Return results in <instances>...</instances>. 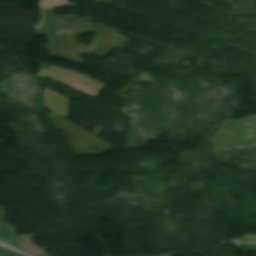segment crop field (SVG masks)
I'll list each match as a JSON object with an SVG mask.
<instances>
[{
  "label": "crop field",
  "mask_w": 256,
  "mask_h": 256,
  "mask_svg": "<svg viewBox=\"0 0 256 256\" xmlns=\"http://www.w3.org/2000/svg\"><path fill=\"white\" fill-rule=\"evenodd\" d=\"M41 73H42V76L44 77H47V78H51V79H54L58 82H61L63 84H66V85H69V86H72V87H75L83 92H86L94 97H96V95L99 93L98 90L86 85V84H82V83H79V82H76L68 77H65L63 75H60V74H57L55 72H52L48 69H43L41 70Z\"/></svg>",
  "instance_id": "4"
},
{
  "label": "crop field",
  "mask_w": 256,
  "mask_h": 256,
  "mask_svg": "<svg viewBox=\"0 0 256 256\" xmlns=\"http://www.w3.org/2000/svg\"><path fill=\"white\" fill-rule=\"evenodd\" d=\"M40 64H44V63H41L39 62ZM44 65H47V64H44ZM50 66V65H48ZM50 70L52 71H55L57 73H60V74H63L65 76H68V77H71L79 82H83V83H86V84H89L97 89H102L103 88V84L99 81H95L89 77H86L78 72H75V71H71V70H65V69H61V68H57V67H53V66H50L49 68Z\"/></svg>",
  "instance_id": "5"
},
{
  "label": "crop field",
  "mask_w": 256,
  "mask_h": 256,
  "mask_svg": "<svg viewBox=\"0 0 256 256\" xmlns=\"http://www.w3.org/2000/svg\"><path fill=\"white\" fill-rule=\"evenodd\" d=\"M39 8L42 20L36 26L35 35L48 37L49 43L46 44V49L51 57L82 65L81 53L104 57L109 55L114 47L119 49L125 46L129 40L112 28L86 19H77L73 15L54 16L53 9L40 6ZM56 23L59 25H55ZM91 32L97 35L90 47L76 42L78 35Z\"/></svg>",
  "instance_id": "1"
},
{
  "label": "crop field",
  "mask_w": 256,
  "mask_h": 256,
  "mask_svg": "<svg viewBox=\"0 0 256 256\" xmlns=\"http://www.w3.org/2000/svg\"><path fill=\"white\" fill-rule=\"evenodd\" d=\"M246 237H249L247 242L256 243V235H245Z\"/></svg>",
  "instance_id": "8"
},
{
  "label": "crop field",
  "mask_w": 256,
  "mask_h": 256,
  "mask_svg": "<svg viewBox=\"0 0 256 256\" xmlns=\"http://www.w3.org/2000/svg\"><path fill=\"white\" fill-rule=\"evenodd\" d=\"M39 5L46 7V8H60V7L76 6L75 3H68V0H41Z\"/></svg>",
  "instance_id": "6"
},
{
  "label": "crop field",
  "mask_w": 256,
  "mask_h": 256,
  "mask_svg": "<svg viewBox=\"0 0 256 256\" xmlns=\"http://www.w3.org/2000/svg\"><path fill=\"white\" fill-rule=\"evenodd\" d=\"M0 256H20V254L15 251H0Z\"/></svg>",
  "instance_id": "7"
},
{
  "label": "crop field",
  "mask_w": 256,
  "mask_h": 256,
  "mask_svg": "<svg viewBox=\"0 0 256 256\" xmlns=\"http://www.w3.org/2000/svg\"><path fill=\"white\" fill-rule=\"evenodd\" d=\"M0 250H11V249H9V248H7V247H5V246L0 244Z\"/></svg>",
  "instance_id": "9"
},
{
  "label": "crop field",
  "mask_w": 256,
  "mask_h": 256,
  "mask_svg": "<svg viewBox=\"0 0 256 256\" xmlns=\"http://www.w3.org/2000/svg\"><path fill=\"white\" fill-rule=\"evenodd\" d=\"M44 107L67 118L69 109V100L44 88L43 91ZM51 111V112H52Z\"/></svg>",
  "instance_id": "2"
},
{
  "label": "crop field",
  "mask_w": 256,
  "mask_h": 256,
  "mask_svg": "<svg viewBox=\"0 0 256 256\" xmlns=\"http://www.w3.org/2000/svg\"><path fill=\"white\" fill-rule=\"evenodd\" d=\"M4 207H0V241L15 248L20 249V241L15 239V229L5 222Z\"/></svg>",
  "instance_id": "3"
}]
</instances>
